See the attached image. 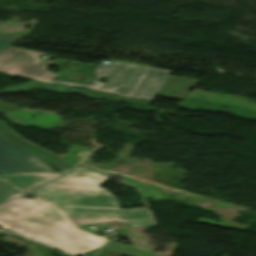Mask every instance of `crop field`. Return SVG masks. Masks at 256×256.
<instances>
[{
  "instance_id": "obj_1",
  "label": "crop field",
  "mask_w": 256,
  "mask_h": 256,
  "mask_svg": "<svg viewBox=\"0 0 256 256\" xmlns=\"http://www.w3.org/2000/svg\"><path fill=\"white\" fill-rule=\"evenodd\" d=\"M109 177L78 165L72 173L33 192L38 198L20 197L0 207V223L8 230L39 240L72 256L102 247L107 241L76 227L109 220L128 226H156L148 207L123 210L117 198L98 187Z\"/></svg>"
},
{
  "instance_id": "obj_2",
  "label": "crop field",
  "mask_w": 256,
  "mask_h": 256,
  "mask_svg": "<svg viewBox=\"0 0 256 256\" xmlns=\"http://www.w3.org/2000/svg\"><path fill=\"white\" fill-rule=\"evenodd\" d=\"M170 72L138 66L122 96L153 100L158 95L183 100L198 81L169 76Z\"/></svg>"
},
{
  "instance_id": "obj_3",
  "label": "crop field",
  "mask_w": 256,
  "mask_h": 256,
  "mask_svg": "<svg viewBox=\"0 0 256 256\" xmlns=\"http://www.w3.org/2000/svg\"><path fill=\"white\" fill-rule=\"evenodd\" d=\"M41 88L48 89V90L55 91V92H61V93L77 92V93L85 95L89 98H97V99H101V100H115L116 99L115 96L98 94V93H94V92H90V91H86V90L49 85V84H44V83H40V82H36V81L29 82L28 84H26L24 86L1 91L0 94L5 93V92H20V91H26V90H31V89H41ZM70 89H74L75 91H69ZM17 109H19V107H16V106H13L10 104L0 105V112H10V111H15ZM0 135L3 136L4 138L8 139L9 141L13 142L14 144L18 145L19 147L23 148L24 150L28 151L29 153L33 154L38 159H40L50 165H57V166H62L67 169H71V167L75 164L73 162L62 159V158L42 149L40 147H37V146L27 142L26 140L22 139L20 136L15 134L11 129L6 127L5 123L3 121H0Z\"/></svg>"
},
{
  "instance_id": "obj_4",
  "label": "crop field",
  "mask_w": 256,
  "mask_h": 256,
  "mask_svg": "<svg viewBox=\"0 0 256 256\" xmlns=\"http://www.w3.org/2000/svg\"><path fill=\"white\" fill-rule=\"evenodd\" d=\"M42 55L32 51L9 48L0 54V72L53 84L75 86L74 83L51 79L56 75L48 73L46 68L54 62L37 59Z\"/></svg>"
},
{
  "instance_id": "obj_5",
  "label": "crop field",
  "mask_w": 256,
  "mask_h": 256,
  "mask_svg": "<svg viewBox=\"0 0 256 256\" xmlns=\"http://www.w3.org/2000/svg\"><path fill=\"white\" fill-rule=\"evenodd\" d=\"M52 172L48 165L0 136V173Z\"/></svg>"
},
{
  "instance_id": "obj_6",
  "label": "crop field",
  "mask_w": 256,
  "mask_h": 256,
  "mask_svg": "<svg viewBox=\"0 0 256 256\" xmlns=\"http://www.w3.org/2000/svg\"><path fill=\"white\" fill-rule=\"evenodd\" d=\"M60 175L55 173L0 174V204Z\"/></svg>"
},
{
  "instance_id": "obj_7",
  "label": "crop field",
  "mask_w": 256,
  "mask_h": 256,
  "mask_svg": "<svg viewBox=\"0 0 256 256\" xmlns=\"http://www.w3.org/2000/svg\"><path fill=\"white\" fill-rule=\"evenodd\" d=\"M135 67L136 66L134 65L116 62H112L109 65L99 64L94 69L96 78L89 89L98 92L119 95L121 91L118 89L124 87ZM100 70H102V72H100ZM100 77H109V79L106 84H100L98 83ZM106 88L109 90H105ZM114 90H118L119 92H114Z\"/></svg>"
},
{
  "instance_id": "obj_8",
  "label": "crop field",
  "mask_w": 256,
  "mask_h": 256,
  "mask_svg": "<svg viewBox=\"0 0 256 256\" xmlns=\"http://www.w3.org/2000/svg\"><path fill=\"white\" fill-rule=\"evenodd\" d=\"M103 248L121 252V253L130 254V255H136V256H155V255L149 254V252H150L149 250L136 248V247H132V246H127V245L119 244V243L112 242V241H110Z\"/></svg>"
},
{
  "instance_id": "obj_9",
  "label": "crop field",
  "mask_w": 256,
  "mask_h": 256,
  "mask_svg": "<svg viewBox=\"0 0 256 256\" xmlns=\"http://www.w3.org/2000/svg\"><path fill=\"white\" fill-rule=\"evenodd\" d=\"M21 37L22 35L0 34V51L12 45Z\"/></svg>"
},
{
  "instance_id": "obj_10",
  "label": "crop field",
  "mask_w": 256,
  "mask_h": 256,
  "mask_svg": "<svg viewBox=\"0 0 256 256\" xmlns=\"http://www.w3.org/2000/svg\"><path fill=\"white\" fill-rule=\"evenodd\" d=\"M118 101L120 102H128V103H135L140 105H146L149 106L150 102L145 100H138V99H130V98H123L119 97Z\"/></svg>"
},
{
  "instance_id": "obj_11",
  "label": "crop field",
  "mask_w": 256,
  "mask_h": 256,
  "mask_svg": "<svg viewBox=\"0 0 256 256\" xmlns=\"http://www.w3.org/2000/svg\"><path fill=\"white\" fill-rule=\"evenodd\" d=\"M96 255L97 256H130V255L121 254V253L108 251V250H104V249H101Z\"/></svg>"
},
{
  "instance_id": "obj_12",
  "label": "crop field",
  "mask_w": 256,
  "mask_h": 256,
  "mask_svg": "<svg viewBox=\"0 0 256 256\" xmlns=\"http://www.w3.org/2000/svg\"><path fill=\"white\" fill-rule=\"evenodd\" d=\"M90 85H80V84H76V87H81V88H86L88 89Z\"/></svg>"
},
{
  "instance_id": "obj_13",
  "label": "crop field",
  "mask_w": 256,
  "mask_h": 256,
  "mask_svg": "<svg viewBox=\"0 0 256 256\" xmlns=\"http://www.w3.org/2000/svg\"><path fill=\"white\" fill-rule=\"evenodd\" d=\"M55 207V206H54ZM56 208V207H55ZM57 209V208H56ZM58 210V209H57ZM59 211V210H58ZM60 212V211H59ZM61 213V212H60ZM62 214V213H61ZM63 215V214H62ZM64 216V215H63ZM65 217V216H64ZM66 218V217H65ZM67 219V218H66ZM68 220V219H67ZM69 221V220H68ZM70 222V221H69ZM71 223V222H70ZM72 224V223H71ZM73 225V224H72ZM74 226V225H73ZM75 227V226H74ZM76 228V227H75ZM76 229H78V228H76ZM80 230V229H79ZM90 234V233H89ZM91 235H93V234H91ZM95 236V235H94ZM98 237V236H97ZM99 238H101V237H99ZM103 239V238H102ZM106 240V239H105Z\"/></svg>"
},
{
  "instance_id": "obj_14",
  "label": "crop field",
  "mask_w": 256,
  "mask_h": 256,
  "mask_svg": "<svg viewBox=\"0 0 256 256\" xmlns=\"http://www.w3.org/2000/svg\"><path fill=\"white\" fill-rule=\"evenodd\" d=\"M0 226L5 228V229L7 228V225L0 224Z\"/></svg>"
}]
</instances>
